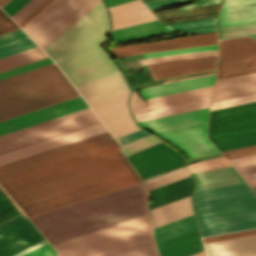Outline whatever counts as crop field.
<instances>
[{
  "label": "crop field",
  "instance_id": "crop-field-67",
  "mask_svg": "<svg viewBox=\"0 0 256 256\" xmlns=\"http://www.w3.org/2000/svg\"><path fill=\"white\" fill-rule=\"evenodd\" d=\"M176 11H177L176 9H172V10L159 11V12H156V13H157V15H160V14L176 12Z\"/></svg>",
  "mask_w": 256,
  "mask_h": 256
},
{
  "label": "crop field",
  "instance_id": "crop-field-28",
  "mask_svg": "<svg viewBox=\"0 0 256 256\" xmlns=\"http://www.w3.org/2000/svg\"><path fill=\"white\" fill-rule=\"evenodd\" d=\"M173 32L166 29L158 21H151L119 30L112 31L113 33V42L118 44L131 39H140L144 37H154L166 33Z\"/></svg>",
  "mask_w": 256,
  "mask_h": 256
},
{
  "label": "crop field",
  "instance_id": "crop-field-49",
  "mask_svg": "<svg viewBox=\"0 0 256 256\" xmlns=\"http://www.w3.org/2000/svg\"><path fill=\"white\" fill-rule=\"evenodd\" d=\"M64 1L65 0H56L22 29L27 33L41 20H43L47 15H49L53 10H55L59 5H61Z\"/></svg>",
  "mask_w": 256,
  "mask_h": 256
},
{
  "label": "crop field",
  "instance_id": "crop-field-10",
  "mask_svg": "<svg viewBox=\"0 0 256 256\" xmlns=\"http://www.w3.org/2000/svg\"><path fill=\"white\" fill-rule=\"evenodd\" d=\"M128 92L91 105L115 138L140 130L132 120L127 105Z\"/></svg>",
  "mask_w": 256,
  "mask_h": 256
},
{
  "label": "crop field",
  "instance_id": "crop-field-2",
  "mask_svg": "<svg viewBox=\"0 0 256 256\" xmlns=\"http://www.w3.org/2000/svg\"><path fill=\"white\" fill-rule=\"evenodd\" d=\"M27 34L76 88L119 73L97 45L109 34L101 0H67Z\"/></svg>",
  "mask_w": 256,
  "mask_h": 256
},
{
  "label": "crop field",
  "instance_id": "crop-field-5",
  "mask_svg": "<svg viewBox=\"0 0 256 256\" xmlns=\"http://www.w3.org/2000/svg\"><path fill=\"white\" fill-rule=\"evenodd\" d=\"M151 237L147 214L53 246L61 256H95Z\"/></svg>",
  "mask_w": 256,
  "mask_h": 256
},
{
  "label": "crop field",
  "instance_id": "crop-field-21",
  "mask_svg": "<svg viewBox=\"0 0 256 256\" xmlns=\"http://www.w3.org/2000/svg\"><path fill=\"white\" fill-rule=\"evenodd\" d=\"M204 245L208 256H256V235Z\"/></svg>",
  "mask_w": 256,
  "mask_h": 256
},
{
  "label": "crop field",
  "instance_id": "crop-field-63",
  "mask_svg": "<svg viewBox=\"0 0 256 256\" xmlns=\"http://www.w3.org/2000/svg\"><path fill=\"white\" fill-rule=\"evenodd\" d=\"M126 1H129V0H105V2L107 3L108 7L116 5V4H120V3H123V2H126Z\"/></svg>",
  "mask_w": 256,
  "mask_h": 256
},
{
  "label": "crop field",
  "instance_id": "crop-field-58",
  "mask_svg": "<svg viewBox=\"0 0 256 256\" xmlns=\"http://www.w3.org/2000/svg\"><path fill=\"white\" fill-rule=\"evenodd\" d=\"M221 1L222 0H198L194 3L182 6V7L178 8V10H185V9H189V8L202 7V6H206V5H210V4L219 3Z\"/></svg>",
  "mask_w": 256,
  "mask_h": 256
},
{
  "label": "crop field",
  "instance_id": "crop-field-16",
  "mask_svg": "<svg viewBox=\"0 0 256 256\" xmlns=\"http://www.w3.org/2000/svg\"><path fill=\"white\" fill-rule=\"evenodd\" d=\"M218 32L202 35L188 36L157 42L141 43L136 45L119 46L109 49L108 51L115 59L131 54H138L148 51L177 49L189 46L205 45L217 43Z\"/></svg>",
  "mask_w": 256,
  "mask_h": 256
},
{
  "label": "crop field",
  "instance_id": "crop-field-22",
  "mask_svg": "<svg viewBox=\"0 0 256 256\" xmlns=\"http://www.w3.org/2000/svg\"><path fill=\"white\" fill-rule=\"evenodd\" d=\"M252 93H256V73L216 81L212 102Z\"/></svg>",
  "mask_w": 256,
  "mask_h": 256
},
{
  "label": "crop field",
  "instance_id": "crop-field-61",
  "mask_svg": "<svg viewBox=\"0 0 256 256\" xmlns=\"http://www.w3.org/2000/svg\"><path fill=\"white\" fill-rule=\"evenodd\" d=\"M24 37H27V35L24 32L16 34V35H12V36L0 39V45L11 42V41H15V40H18V39H21Z\"/></svg>",
  "mask_w": 256,
  "mask_h": 256
},
{
  "label": "crop field",
  "instance_id": "crop-field-44",
  "mask_svg": "<svg viewBox=\"0 0 256 256\" xmlns=\"http://www.w3.org/2000/svg\"><path fill=\"white\" fill-rule=\"evenodd\" d=\"M216 51H206V52H198V53H190V54H181V55H173V56H165V57H157L141 60L142 65L161 62L165 60H176V59H186V58H200L216 55Z\"/></svg>",
  "mask_w": 256,
  "mask_h": 256
},
{
  "label": "crop field",
  "instance_id": "crop-field-36",
  "mask_svg": "<svg viewBox=\"0 0 256 256\" xmlns=\"http://www.w3.org/2000/svg\"><path fill=\"white\" fill-rule=\"evenodd\" d=\"M3 190L0 187V229L25 217Z\"/></svg>",
  "mask_w": 256,
  "mask_h": 256
},
{
  "label": "crop field",
  "instance_id": "crop-field-70",
  "mask_svg": "<svg viewBox=\"0 0 256 256\" xmlns=\"http://www.w3.org/2000/svg\"><path fill=\"white\" fill-rule=\"evenodd\" d=\"M215 17V16H214ZM208 18H211V17H208ZM202 19H206V18H202ZM202 19H197V20H202ZM192 21V20H190ZM182 22H186V21H182ZM166 24H169V23H166ZM165 25V24H164Z\"/></svg>",
  "mask_w": 256,
  "mask_h": 256
},
{
  "label": "crop field",
  "instance_id": "crop-field-18",
  "mask_svg": "<svg viewBox=\"0 0 256 256\" xmlns=\"http://www.w3.org/2000/svg\"><path fill=\"white\" fill-rule=\"evenodd\" d=\"M212 86H206L202 88L182 91L178 93L158 96L154 98L147 99V103L151 104L150 106H146V103L143 102L139 96L135 93V91H132L131 97H130V108L132 113L143 111L147 109L162 107L166 105L176 104L180 102L190 101L194 99L204 98L208 97L211 94Z\"/></svg>",
  "mask_w": 256,
  "mask_h": 256
},
{
  "label": "crop field",
  "instance_id": "crop-field-35",
  "mask_svg": "<svg viewBox=\"0 0 256 256\" xmlns=\"http://www.w3.org/2000/svg\"><path fill=\"white\" fill-rule=\"evenodd\" d=\"M98 256H158V254L151 238Z\"/></svg>",
  "mask_w": 256,
  "mask_h": 256
},
{
  "label": "crop field",
  "instance_id": "crop-field-25",
  "mask_svg": "<svg viewBox=\"0 0 256 256\" xmlns=\"http://www.w3.org/2000/svg\"><path fill=\"white\" fill-rule=\"evenodd\" d=\"M193 186L194 180L191 176H189L184 179L150 190L149 194L153 203H148L149 208L152 209L189 196L192 193Z\"/></svg>",
  "mask_w": 256,
  "mask_h": 256
},
{
  "label": "crop field",
  "instance_id": "crop-field-59",
  "mask_svg": "<svg viewBox=\"0 0 256 256\" xmlns=\"http://www.w3.org/2000/svg\"><path fill=\"white\" fill-rule=\"evenodd\" d=\"M180 1H184V0H158V1L151 2V3H147V5L150 9H153V8H157V7H160L163 5L177 3Z\"/></svg>",
  "mask_w": 256,
  "mask_h": 256
},
{
  "label": "crop field",
  "instance_id": "crop-field-8",
  "mask_svg": "<svg viewBox=\"0 0 256 256\" xmlns=\"http://www.w3.org/2000/svg\"><path fill=\"white\" fill-rule=\"evenodd\" d=\"M225 187L194 191L193 209L195 216L256 207V195L245 182Z\"/></svg>",
  "mask_w": 256,
  "mask_h": 256
},
{
  "label": "crop field",
  "instance_id": "crop-field-6",
  "mask_svg": "<svg viewBox=\"0 0 256 256\" xmlns=\"http://www.w3.org/2000/svg\"><path fill=\"white\" fill-rule=\"evenodd\" d=\"M208 137L221 151L256 144V102L211 111Z\"/></svg>",
  "mask_w": 256,
  "mask_h": 256
},
{
  "label": "crop field",
  "instance_id": "crop-field-72",
  "mask_svg": "<svg viewBox=\"0 0 256 256\" xmlns=\"http://www.w3.org/2000/svg\"><path fill=\"white\" fill-rule=\"evenodd\" d=\"M55 256H59V255L57 254V255H55Z\"/></svg>",
  "mask_w": 256,
  "mask_h": 256
},
{
  "label": "crop field",
  "instance_id": "crop-field-34",
  "mask_svg": "<svg viewBox=\"0 0 256 256\" xmlns=\"http://www.w3.org/2000/svg\"><path fill=\"white\" fill-rule=\"evenodd\" d=\"M197 224L194 216H189L184 219L166 224L164 226L153 229L156 242L175 237L177 235L197 229Z\"/></svg>",
  "mask_w": 256,
  "mask_h": 256
},
{
  "label": "crop field",
  "instance_id": "crop-field-32",
  "mask_svg": "<svg viewBox=\"0 0 256 256\" xmlns=\"http://www.w3.org/2000/svg\"><path fill=\"white\" fill-rule=\"evenodd\" d=\"M210 97L199 99L195 101H190L186 103H181L177 105H172L168 107H163L159 109H153L148 111H143L139 113L132 114L136 120V122L144 121L148 119L168 116L172 114L192 111L196 109L206 108L209 106Z\"/></svg>",
  "mask_w": 256,
  "mask_h": 256
},
{
  "label": "crop field",
  "instance_id": "crop-field-7",
  "mask_svg": "<svg viewBox=\"0 0 256 256\" xmlns=\"http://www.w3.org/2000/svg\"><path fill=\"white\" fill-rule=\"evenodd\" d=\"M93 113L88 108L2 135L0 136V154L100 123Z\"/></svg>",
  "mask_w": 256,
  "mask_h": 256
},
{
  "label": "crop field",
  "instance_id": "crop-field-33",
  "mask_svg": "<svg viewBox=\"0 0 256 256\" xmlns=\"http://www.w3.org/2000/svg\"><path fill=\"white\" fill-rule=\"evenodd\" d=\"M256 72V55L218 63L217 79Z\"/></svg>",
  "mask_w": 256,
  "mask_h": 256
},
{
  "label": "crop field",
  "instance_id": "crop-field-51",
  "mask_svg": "<svg viewBox=\"0 0 256 256\" xmlns=\"http://www.w3.org/2000/svg\"><path fill=\"white\" fill-rule=\"evenodd\" d=\"M256 234V229L203 238L204 243Z\"/></svg>",
  "mask_w": 256,
  "mask_h": 256
},
{
  "label": "crop field",
  "instance_id": "crop-field-54",
  "mask_svg": "<svg viewBox=\"0 0 256 256\" xmlns=\"http://www.w3.org/2000/svg\"><path fill=\"white\" fill-rule=\"evenodd\" d=\"M29 1L30 0H10L2 8L11 17L14 13H16L21 7H23Z\"/></svg>",
  "mask_w": 256,
  "mask_h": 256
},
{
  "label": "crop field",
  "instance_id": "crop-field-43",
  "mask_svg": "<svg viewBox=\"0 0 256 256\" xmlns=\"http://www.w3.org/2000/svg\"><path fill=\"white\" fill-rule=\"evenodd\" d=\"M230 164L226 161V159L223 156L195 162L192 164L187 165V168L190 170V172L193 171H199V170H205V169H211V168H217V167H223V166H229Z\"/></svg>",
  "mask_w": 256,
  "mask_h": 256
},
{
  "label": "crop field",
  "instance_id": "crop-field-26",
  "mask_svg": "<svg viewBox=\"0 0 256 256\" xmlns=\"http://www.w3.org/2000/svg\"><path fill=\"white\" fill-rule=\"evenodd\" d=\"M208 108L173 116L139 122L142 127L155 132L207 121Z\"/></svg>",
  "mask_w": 256,
  "mask_h": 256
},
{
  "label": "crop field",
  "instance_id": "crop-field-69",
  "mask_svg": "<svg viewBox=\"0 0 256 256\" xmlns=\"http://www.w3.org/2000/svg\"><path fill=\"white\" fill-rule=\"evenodd\" d=\"M214 15H217V14H214ZM214 15H208V16H214ZM208 16H202V17H208ZM202 17H197V18H202ZM197 18H193V19H197ZM187 20H190V19H187ZM179 21H182V20H179ZM173 22V21H172ZM166 23V22H165Z\"/></svg>",
  "mask_w": 256,
  "mask_h": 256
},
{
  "label": "crop field",
  "instance_id": "crop-field-31",
  "mask_svg": "<svg viewBox=\"0 0 256 256\" xmlns=\"http://www.w3.org/2000/svg\"><path fill=\"white\" fill-rule=\"evenodd\" d=\"M256 54V40L242 37L220 41L218 62Z\"/></svg>",
  "mask_w": 256,
  "mask_h": 256
},
{
  "label": "crop field",
  "instance_id": "crop-field-71",
  "mask_svg": "<svg viewBox=\"0 0 256 256\" xmlns=\"http://www.w3.org/2000/svg\"><path fill=\"white\" fill-rule=\"evenodd\" d=\"M213 74V73H212ZM207 75V74H206ZM191 78V77H190ZM184 79H186V78H184ZM178 80H181V79H178ZM172 81H175V80H172ZM167 82H171V81H166V82H164V83H167Z\"/></svg>",
  "mask_w": 256,
  "mask_h": 256
},
{
  "label": "crop field",
  "instance_id": "crop-field-24",
  "mask_svg": "<svg viewBox=\"0 0 256 256\" xmlns=\"http://www.w3.org/2000/svg\"><path fill=\"white\" fill-rule=\"evenodd\" d=\"M256 0H224L220 11V26L256 22Z\"/></svg>",
  "mask_w": 256,
  "mask_h": 256
},
{
  "label": "crop field",
  "instance_id": "crop-field-3",
  "mask_svg": "<svg viewBox=\"0 0 256 256\" xmlns=\"http://www.w3.org/2000/svg\"><path fill=\"white\" fill-rule=\"evenodd\" d=\"M143 183L31 217L51 244L147 214Z\"/></svg>",
  "mask_w": 256,
  "mask_h": 256
},
{
  "label": "crop field",
  "instance_id": "crop-field-50",
  "mask_svg": "<svg viewBox=\"0 0 256 256\" xmlns=\"http://www.w3.org/2000/svg\"><path fill=\"white\" fill-rule=\"evenodd\" d=\"M43 1L44 0H31L22 9H20L15 15H13L11 18L18 23L20 20H22L26 15H28L33 9H35Z\"/></svg>",
  "mask_w": 256,
  "mask_h": 256
},
{
  "label": "crop field",
  "instance_id": "crop-field-40",
  "mask_svg": "<svg viewBox=\"0 0 256 256\" xmlns=\"http://www.w3.org/2000/svg\"><path fill=\"white\" fill-rule=\"evenodd\" d=\"M189 175L190 174L187 172V170L184 167H182V168H179L172 172L166 173L164 175L145 180L144 182H145L148 190H150L155 187L167 184L169 182L181 179V178L189 176Z\"/></svg>",
  "mask_w": 256,
  "mask_h": 256
},
{
  "label": "crop field",
  "instance_id": "crop-field-42",
  "mask_svg": "<svg viewBox=\"0 0 256 256\" xmlns=\"http://www.w3.org/2000/svg\"><path fill=\"white\" fill-rule=\"evenodd\" d=\"M250 34L256 37V23L245 26L220 28V39Z\"/></svg>",
  "mask_w": 256,
  "mask_h": 256
},
{
  "label": "crop field",
  "instance_id": "crop-field-30",
  "mask_svg": "<svg viewBox=\"0 0 256 256\" xmlns=\"http://www.w3.org/2000/svg\"><path fill=\"white\" fill-rule=\"evenodd\" d=\"M151 213L154 227L192 215L190 196L151 210Z\"/></svg>",
  "mask_w": 256,
  "mask_h": 256
},
{
  "label": "crop field",
  "instance_id": "crop-field-47",
  "mask_svg": "<svg viewBox=\"0 0 256 256\" xmlns=\"http://www.w3.org/2000/svg\"><path fill=\"white\" fill-rule=\"evenodd\" d=\"M53 62L49 57L0 72V79Z\"/></svg>",
  "mask_w": 256,
  "mask_h": 256
},
{
  "label": "crop field",
  "instance_id": "crop-field-65",
  "mask_svg": "<svg viewBox=\"0 0 256 256\" xmlns=\"http://www.w3.org/2000/svg\"><path fill=\"white\" fill-rule=\"evenodd\" d=\"M252 188L256 187V178L246 180Z\"/></svg>",
  "mask_w": 256,
  "mask_h": 256
},
{
  "label": "crop field",
  "instance_id": "crop-field-52",
  "mask_svg": "<svg viewBox=\"0 0 256 256\" xmlns=\"http://www.w3.org/2000/svg\"><path fill=\"white\" fill-rule=\"evenodd\" d=\"M19 27L0 9V35Z\"/></svg>",
  "mask_w": 256,
  "mask_h": 256
},
{
  "label": "crop field",
  "instance_id": "crop-field-48",
  "mask_svg": "<svg viewBox=\"0 0 256 256\" xmlns=\"http://www.w3.org/2000/svg\"><path fill=\"white\" fill-rule=\"evenodd\" d=\"M256 101V94L214 102L211 110Z\"/></svg>",
  "mask_w": 256,
  "mask_h": 256
},
{
  "label": "crop field",
  "instance_id": "crop-field-15",
  "mask_svg": "<svg viewBox=\"0 0 256 256\" xmlns=\"http://www.w3.org/2000/svg\"><path fill=\"white\" fill-rule=\"evenodd\" d=\"M107 132L102 123L0 156V166Z\"/></svg>",
  "mask_w": 256,
  "mask_h": 256
},
{
  "label": "crop field",
  "instance_id": "crop-field-73",
  "mask_svg": "<svg viewBox=\"0 0 256 256\" xmlns=\"http://www.w3.org/2000/svg\"><path fill=\"white\" fill-rule=\"evenodd\" d=\"M254 190L256 191V188Z\"/></svg>",
  "mask_w": 256,
  "mask_h": 256
},
{
  "label": "crop field",
  "instance_id": "crop-field-41",
  "mask_svg": "<svg viewBox=\"0 0 256 256\" xmlns=\"http://www.w3.org/2000/svg\"><path fill=\"white\" fill-rule=\"evenodd\" d=\"M33 47H36V45L29 37L5 44L0 46V58Z\"/></svg>",
  "mask_w": 256,
  "mask_h": 256
},
{
  "label": "crop field",
  "instance_id": "crop-field-14",
  "mask_svg": "<svg viewBox=\"0 0 256 256\" xmlns=\"http://www.w3.org/2000/svg\"><path fill=\"white\" fill-rule=\"evenodd\" d=\"M44 240L27 217L0 230V256L17 252Z\"/></svg>",
  "mask_w": 256,
  "mask_h": 256
},
{
  "label": "crop field",
  "instance_id": "crop-field-11",
  "mask_svg": "<svg viewBox=\"0 0 256 256\" xmlns=\"http://www.w3.org/2000/svg\"><path fill=\"white\" fill-rule=\"evenodd\" d=\"M205 123L155 132L180 148L188 157H198L218 152L205 137Z\"/></svg>",
  "mask_w": 256,
  "mask_h": 256
},
{
  "label": "crop field",
  "instance_id": "crop-field-17",
  "mask_svg": "<svg viewBox=\"0 0 256 256\" xmlns=\"http://www.w3.org/2000/svg\"><path fill=\"white\" fill-rule=\"evenodd\" d=\"M216 56L200 59L167 61L147 65L154 80L180 74L215 69Z\"/></svg>",
  "mask_w": 256,
  "mask_h": 256
},
{
  "label": "crop field",
  "instance_id": "crop-field-45",
  "mask_svg": "<svg viewBox=\"0 0 256 256\" xmlns=\"http://www.w3.org/2000/svg\"><path fill=\"white\" fill-rule=\"evenodd\" d=\"M214 49H217V44L183 48V49H177V50L152 52V53H146L145 56L146 58H149V57H156V56L190 53V52H198V51H206V50H214Z\"/></svg>",
  "mask_w": 256,
  "mask_h": 256
},
{
  "label": "crop field",
  "instance_id": "crop-field-9",
  "mask_svg": "<svg viewBox=\"0 0 256 256\" xmlns=\"http://www.w3.org/2000/svg\"><path fill=\"white\" fill-rule=\"evenodd\" d=\"M142 179L183 165L184 159L160 142L127 157Z\"/></svg>",
  "mask_w": 256,
  "mask_h": 256
},
{
  "label": "crop field",
  "instance_id": "crop-field-64",
  "mask_svg": "<svg viewBox=\"0 0 256 256\" xmlns=\"http://www.w3.org/2000/svg\"><path fill=\"white\" fill-rule=\"evenodd\" d=\"M192 12H193V11H192V9H191V10H187V11H180V12H176V13H171V14H166V15H160V16H158V18L166 17V16H170V15L192 13Z\"/></svg>",
  "mask_w": 256,
  "mask_h": 256
},
{
  "label": "crop field",
  "instance_id": "crop-field-53",
  "mask_svg": "<svg viewBox=\"0 0 256 256\" xmlns=\"http://www.w3.org/2000/svg\"><path fill=\"white\" fill-rule=\"evenodd\" d=\"M227 160L256 154V146L222 153Z\"/></svg>",
  "mask_w": 256,
  "mask_h": 256
},
{
  "label": "crop field",
  "instance_id": "crop-field-37",
  "mask_svg": "<svg viewBox=\"0 0 256 256\" xmlns=\"http://www.w3.org/2000/svg\"><path fill=\"white\" fill-rule=\"evenodd\" d=\"M47 57L38 47L0 59V71Z\"/></svg>",
  "mask_w": 256,
  "mask_h": 256
},
{
  "label": "crop field",
  "instance_id": "crop-field-23",
  "mask_svg": "<svg viewBox=\"0 0 256 256\" xmlns=\"http://www.w3.org/2000/svg\"><path fill=\"white\" fill-rule=\"evenodd\" d=\"M160 256H188L203 251L199 230L158 243Z\"/></svg>",
  "mask_w": 256,
  "mask_h": 256
},
{
  "label": "crop field",
  "instance_id": "crop-field-19",
  "mask_svg": "<svg viewBox=\"0 0 256 256\" xmlns=\"http://www.w3.org/2000/svg\"><path fill=\"white\" fill-rule=\"evenodd\" d=\"M108 9L111 13L113 30L156 19L140 0H133Z\"/></svg>",
  "mask_w": 256,
  "mask_h": 256
},
{
  "label": "crop field",
  "instance_id": "crop-field-12",
  "mask_svg": "<svg viewBox=\"0 0 256 256\" xmlns=\"http://www.w3.org/2000/svg\"><path fill=\"white\" fill-rule=\"evenodd\" d=\"M88 108L81 96L0 122V135Z\"/></svg>",
  "mask_w": 256,
  "mask_h": 256
},
{
  "label": "crop field",
  "instance_id": "crop-field-20",
  "mask_svg": "<svg viewBox=\"0 0 256 256\" xmlns=\"http://www.w3.org/2000/svg\"><path fill=\"white\" fill-rule=\"evenodd\" d=\"M89 105L128 91L121 73L78 88Z\"/></svg>",
  "mask_w": 256,
  "mask_h": 256
},
{
  "label": "crop field",
  "instance_id": "crop-field-55",
  "mask_svg": "<svg viewBox=\"0 0 256 256\" xmlns=\"http://www.w3.org/2000/svg\"><path fill=\"white\" fill-rule=\"evenodd\" d=\"M54 0H45L41 5H39L35 10H33L28 16H26L22 21L18 24L22 28L26 25L30 20H32L36 15H38L42 10H44L48 5H50Z\"/></svg>",
  "mask_w": 256,
  "mask_h": 256
},
{
  "label": "crop field",
  "instance_id": "crop-field-4",
  "mask_svg": "<svg viewBox=\"0 0 256 256\" xmlns=\"http://www.w3.org/2000/svg\"><path fill=\"white\" fill-rule=\"evenodd\" d=\"M79 96L55 64L0 81V121Z\"/></svg>",
  "mask_w": 256,
  "mask_h": 256
},
{
  "label": "crop field",
  "instance_id": "crop-field-68",
  "mask_svg": "<svg viewBox=\"0 0 256 256\" xmlns=\"http://www.w3.org/2000/svg\"><path fill=\"white\" fill-rule=\"evenodd\" d=\"M9 0H0V6L2 7L5 3H7Z\"/></svg>",
  "mask_w": 256,
  "mask_h": 256
},
{
  "label": "crop field",
  "instance_id": "crop-field-46",
  "mask_svg": "<svg viewBox=\"0 0 256 256\" xmlns=\"http://www.w3.org/2000/svg\"><path fill=\"white\" fill-rule=\"evenodd\" d=\"M160 142L158 139L154 138L153 136L149 135L145 138H142L138 141H135L131 144H128L126 146L123 147V152L126 156L132 154V153H135L139 150H142L146 147H149L153 144H156Z\"/></svg>",
  "mask_w": 256,
  "mask_h": 256
},
{
  "label": "crop field",
  "instance_id": "crop-field-62",
  "mask_svg": "<svg viewBox=\"0 0 256 256\" xmlns=\"http://www.w3.org/2000/svg\"><path fill=\"white\" fill-rule=\"evenodd\" d=\"M45 243H47L46 240L43 241V242H41V243H39V244H37V245H34V246H32V247H30V248H28V249H26V250H24V251H22V252H20V253H18V254H16V255H14V256H21V255H23V254H25V253H27V252L33 250V249H35V248H37V247H39V246L45 244Z\"/></svg>",
  "mask_w": 256,
  "mask_h": 256
},
{
  "label": "crop field",
  "instance_id": "crop-field-38",
  "mask_svg": "<svg viewBox=\"0 0 256 256\" xmlns=\"http://www.w3.org/2000/svg\"><path fill=\"white\" fill-rule=\"evenodd\" d=\"M169 28L175 29L182 34H194V33H207L218 30L217 17L206 19L202 21H192L186 23H175L166 25Z\"/></svg>",
  "mask_w": 256,
  "mask_h": 256
},
{
  "label": "crop field",
  "instance_id": "crop-field-66",
  "mask_svg": "<svg viewBox=\"0 0 256 256\" xmlns=\"http://www.w3.org/2000/svg\"><path fill=\"white\" fill-rule=\"evenodd\" d=\"M19 32H22V30L19 29V30H16V31L4 34V35H1L0 38L6 37V36H9V35H12V34H16V33H19Z\"/></svg>",
  "mask_w": 256,
  "mask_h": 256
},
{
  "label": "crop field",
  "instance_id": "crop-field-60",
  "mask_svg": "<svg viewBox=\"0 0 256 256\" xmlns=\"http://www.w3.org/2000/svg\"><path fill=\"white\" fill-rule=\"evenodd\" d=\"M220 4L221 3L211 5V6L202 7V8H196V9H193V10H194V13L201 12V11L214 10V9H218ZM214 11H218V10H214ZM209 12H213V11H209ZM209 12H202V13H209ZM213 13H215V12H213ZM196 14H199V13H196ZM187 15H189V14H187ZM178 16H181V15H178ZM191 16H194V15H191ZM170 17H176V16H170ZM170 17H166V18H170ZM178 18H180V17H178ZM161 19H164V18H161Z\"/></svg>",
  "mask_w": 256,
  "mask_h": 256
},
{
  "label": "crop field",
  "instance_id": "crop-field-39",
  "mask_svg": "<svg viewBox=\"0 0 256 256\" xmlns=\"http://www.w3.org/2000/svg\"><path fill=\"white\" fill-rule=\"evenodd\" d=\"M229 162L244 179L256 177V155L230 160Z\"/></svg>",
  "mask_w": 256,
  "mask_h": 256
},
{
  "label": "crop field",
  "instance_id": "crop-field-13",
  "mask_svg": "<svg viewBox=\"0 0 256 256\" xmlns=\"http://www.w3.org/2000/svg\"><path fill=\"white\" fill-rule=\"evenodd\" d=\"M203 236L256 227V208L196 218Z\"/></svg>",
  "mask_w": 256,
  "mask_h": 256
},
{
  "label": "crop field",
  "instance_id": "crop-field-27",
  "mask_svg": "<svg viewBox=\"0 0 256 256\" xmlns=\"http://www.w3.org/2000/svg\"><path fill=\"white\" fill-rule=\"evenodd\" d=\"M192 175L196 181L195 190L244 181L232 166L193 172Z\"/></svg>",
  "mask_w": 256,
  "mask_h": 256
},
{
  "label": "crop field",
  "instance_id": "crop-field-1",
  "mask_svg": "<svg viewBox=\"0 0 256 256\" xmlns=\"http://www.w3.org/2000/svg\"><path fill=\"white\" fill-rule=\"evenodd\" d=\"M138 182L109 132L0 167V184L29 217Z\"/></svg>",
  "mask_w": 256,
  "mask_h": 256
},
{
  "label": "crop field",
  "instance_id": "crop-field-56",
  "mask_svg": "<svg viewBox=\"0 0 256 256\" xmlns=\"http://www.w3.org/2000/svg\"><path fill=\"white\" fill-rule=\"evenodd\" d=\"M147 135H149V134L146 133V132H144V131H142V130H140V131L131 133V134H129V135H126V136L117 138V140H118V142H119L122 146H124V145H126V144H128V143H131V142H133V141H135V140H138V139H140V138H142V137H145V136H147Z\"/></svg>",
  "mask_w": 256,
  "mask_h": 256
},
{
  "label": "crop field",
  "instance_id": "crop-field-29",
  "mask_svg": "<svg viewBox=\"0 0 256 256\" xmlns=\"http://www.w3.org/2000/svg\"><path fill=\"white\" fill-rule=\"evenodd\" d=\"M214 76L215 74L187 79V80L178 81L174 83L146 87L141 89V94L145 98H149V97H154L158 95L211 85L214 82Z\"/></svg>",
  "mask_w": 256,
  "mask_h": 256
},
{
  "label": "crop field",
  "instance_id": "crop-field-57",
  "mask_svg": "<svg viewBox=\"0 0 256 256\" xmlns=\"http://www.w3.org/2000/svg\"><path fill=\"white\" fill-rule=\"evenodd\" d=\"M54 254H56L55 250L48 243L24 256H52Z\"/></svg>",
  "mask_w": 256,
  "mask_h": 256
}]
</instances>
